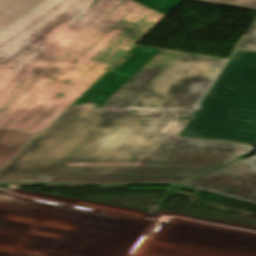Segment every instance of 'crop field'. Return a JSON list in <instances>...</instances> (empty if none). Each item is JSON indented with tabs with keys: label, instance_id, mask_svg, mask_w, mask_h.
Wrapping results in <instances>:
<instances>
[{
	"label": "crop field",
	"instance_id": "1",
	"mask_svg": "<svg viewBox=\"0 0 256 256\" xmlns=\"http://www.w3.org/2000/svg\"><path fill=\"white\" fill-rule=\"evenodd\" d=\"M225 59L135 45L1 172L0 183L177 184L253 147L178 137ZM142 109V112H130Z\"/></svg>",
	"mask_w": 256,
	"mask_h": 256
},
{
	"label": "crop field",
	"instance_id": "2",
	"mask_svg": "<svg viewBox=\"0 0 256 256\" xmlns=\"http://www.w3.org/2000/svg\"><path fill=\"white\" fill-rule=\"evenodd\" d=\"M165 16L131 0H44L0 32V128L40 134Z\"/></svg>",
	"mask_w": 256,
	"mask_h": 256
},
{
	"label": "crop field",
	"instance_id": "7",
	"mask_svg": "<svg viewBox=\"0 0 256 256\" xmlns=\"http://www.w3.org/2000/svg\"><path fill=\"white\" fill-rule=\"evenodd\" d=\"M167 16L183 0H133Z\"/></svg>",
	"mask_w": 256,
	"mask_h": 256
},
{
	"label": "crop field",
	"instance_id": "10",
	"mask_svg": "<svg viewBox=\"0 0 256 256\" xmlns=\"http://www.w3.org/2000/svg\"><path fill=\"white\" fill-rule=\"evenodd\" d=\"M246 35H254V36H256V19L252 23V25L249 28V30L247 31Z\"/></svg>",
	"mask_w": 256,
	"mask_h": 256
},
{
	"label": "crop field",
	"instance_id": "9",
	"mask_svg": "<svg viewBox=\"0 0 256 256\" xmlns=\"http://www.w3.org/2000/svg\"><path fill=\"white\" fill-rule=\"evenodd\" d=\"M237 49L256 52V38H243Z\"/></svg>",
	"mask_w": 256,
	"mask_h": 256
},
{
	"label": "crop field",
	"instance_id": "5",
	"mask_svg": "<svg viewBox=\"0 0 256 256\" xmlns=\"http://www.w3.org/2000/svg\"><path fill=\"white\" fill-rule=\"evenodd\" d=\"M37 135L0 129V170L16 157Z\"/></svg>",
	"mask_w": 256,
	"mask_h": 256
},
{
	"label": "crop field",
	"instance_id": "3",
	"mask_svg": "<svg viewBox=\"0 0 256 256\" xmlns=\"http://www.w3.org/2000/svg\"><path fill=\"white\" fill-rule=\"evenodd\" d=\"M183 135L256 143V53L234 52Z\"/></svg>",
	"mask_w": 256,
	"mask_h": 256
},
{
	"label": "crop field",
	"instance_id": "6",
	"mask_svg": "<svg viewBox=\"0 0 256 256\" xmlns=\"http://www.w3.org/2000/svg\"><path fill=\"white\" fill-rule=\"evenodd\" d=\"M42 0H0V31Z\"/></svg>",
	"mask_w": 256,
	"mask_h": 256
},
{
	"label": "crop field",
	"instance_id": "8",
	"mask_svg": "<svg viewBox=\"0 0 256 256\" xmlns=\"http://www.w3.org/2000/svg\"><path fill=\"white\" fill-rule=\"evenodd\" d=\"M193 1L256 10V0H193Z\"/></svg>",
	"mask_w": 256,
	"mask_h": 256
},
{
	"label": "crop field",
	"instance_id": "4",
	"mask_svg": "<svg viewBox=\"0 0 256 256\" xmlns=\"http://www.w3.org/2000/svg\"><path fill=\"white\" fill-rule=\"evenodd\" d=\"M183 185L256 204V156L235 161Z\"/></svg>",
	"mask_w": 256,
	"mask_h": 256
}]
</instances>
